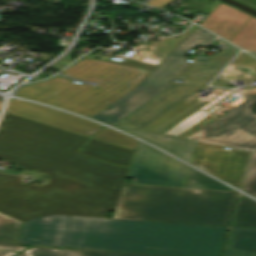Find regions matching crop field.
<instances>
[{
  "label": "crop field",
  "mask_w": 256,
  "mask_h": 256,
  "mask_svg": "<svg viewBox=\"0 0 256 256\" xmlns=\"http://www.w3.org/2000/svg\"><path fill=\"white\" fill-rule=\"evenodd\" d=\"M6 113L92 138L102 126L41 106L9 100Z\"/></svg>",
  "instance_id": "11"
},
{
  "label": "crop field",
  "mask_w": 256,
  "mask_h": 256,
  "mask_svg": "<svg viewBox=\"0 0 256 256\" xmlns=\"http://www.w3.org/2000/svg\"><path fill=\"white\" fill-rule=\"evenodd\" d=\"M253 16L249 15L239 26L238 28L226 39L230 41L245 25L246 23L252 18Z\"/></svg>",
  "instance_id": "24"
},
{
  "label": "crop field",
  "mask_w": 256,
  "mask_h": 256,
  "mask_svg": "<svg viewBox=\"0 0 256 256\" xmlns=\"http://www.w3.org/2000/svg\"><path fill=\"white\" fill-rule=\"evenodd\" d=\"M93 139H97L100 141H104L107 143H111L114 145H118L121 147H125L128 149L136 150L137 141L132 140L118 132L111 131L105 127H103L94 137Z\"/></svg>",
  "instance_id": "20"
},
{
  "label": "crop field",
  "mask_w": 256,
  "mask_h": 256,
  "mask_svg": "<svg viewBox=\"0 0 256 256\" xmlns=\"http://www.w3.org/2000/svg\"><path fill=\"white\" fill-rule=\"evenodd\" d=\"M0 108H1V105H0Z\"/></svg>",
  "instance_id": "29"
},
{
  "label": "crop field",
  "mask_w": 256,
  "mask_h": 256,
  "mask_svg": "<svg viewBox=\"0 0 256 256\" xmlns=\"http://www.w3.org/2000/svg\"><path fill=\"white\" fill-rule=\"evenodd\" d=\"M238 51L228 45L206 64L195 62L179 78L184 81L183 83L170 85L113 126L132 133L190 163L197 141L175 136L172 139H164L165 135L144 131L141 128L206 85Z\"/></svg>",
  "instance_id": "6"
},
{
  "label": "crop field",
  "mask_w": 256,
  "mask_h": 256,
  "mask_svg": "<svg viewBox=\"0 0 256 256\" xmlns=\"http://www.w3.org/2000/svg\"><path fill=\"white\" fill-rule=\"evenodd\" d=\"M247 16L248 14L222 3L200 25L226 39Z\"/></svg>",
  "instance_id": "12"
},
{
  "label": "crop field",
  "mask_w": 256,
  "mask_h": 256,
  "mask_svg": "<svg viewBox=\"0 0 256 256\" xmlns=\"http://www.w3.org/2000/svg\"><path fill=\"white\" fill-rule=\"evenodd\" d=\"M24 253L27 256H107L108 255V253H104V252L56 250V249H50V248H33Z\"/></svg>",
  "instance_id": "19"
},
{
  "label": "crop field",
  "mask_w": 256,
  "mask_h": 256,
  "mask_svg": "<svg viewBox=\"0 0 256 256\" xmlns=\"http://www.w3.org/2000/svg\"><path fill=\"white\" fill-rule=\"evenodd\" d=\"M104 76L105 75L87 70L84 73H82L80 76H78L77 79H81V80H85V81H91V82H97L101 78H103Z\"/></svg>",
  "instance_id": "22"
},
{
  "label": "crop field",
  "mask_w": 256,
  "mask_h": 256,
  "mask_svg": "<svg viewBox=\"0 0 256 256\" xmlns=\"http://www.w3.org/2000/svg\"><path fill=\"white\" fill-rule=\"evenodd\" d=\"M12 176H15L12 178ZM0 173V212L23 221L21 244L104 250L118 196L50 175L41 187Z\"/></svg>",
  "instance_id": "1"
},
{
  "label": "crop field",
  "mask_w": 256,
  "mask_h": 256,
  "mask_svg": "<svg viewBox=\"0 0 256 256\" xmlns=\"http://www.w3.org/2000/svg\"><path fill=\"white\" fill-rule=\"evenodd\" d=\"M189 166L142 143L132 161L128 177L133 184L183 187Z\"/></svg>",
  "instance_id": "9"
},
{
  "label": "crop field",
  "mask_w": 256,
  "mask_h": 256,
  "mask_svg": "<svg viewBox=\"0 0 256 256\" xmlns=\"http://www.w3.org/2000/svg\"><path fill=\"white\" fill-rule=\"evenodd\" d=\"M239 1H242V2H244L246 4H248V5L256 8V0H239Z\"/></svg>",
  "instance_id": "26"
},
{
  "label": "crop field",
  "mask_w": 256,
  "mask_h": 256,
  "mask_svg": "<svg viewBox=\"0 0 256 256\" xmlns=\"http://www.w3.org/2000/svg\"><path fill=\"white\" fill-rule=\"evenodd\" d=\"M154 67L129 59L118 63L84 58L62 74L75 78L89 69L107 75L97 86L70 83L71 79L56 75L47 82L23 86L17 95L91 118L135 88Z\"/></svg>",
  "instance_id": "4"
},
{
  "label": "crop field",
  "mask_w": 256,
  "mask_h": 256,
  "mask_svg": "<svg viewBox=\"0 0 256 256\" xmlns=\"http://www.w3.org/2000/svg\"><path fill=\"white\" fill-rule=\"evenodd\" d=\"M216 36L196 28L168 56H166L139 84L92 119L114 124L166 88L191 62L183 57L198 45L207 47ZM169 87V86H168ZM162 92V91H161ZM159 94V93H158Z\"/></svg>",
  "instance_id": "7"
},
{
  "label": "crop field",
  "mask_w": 256,
  "mask_h": 256,
  "mask_svg": "<svg viewBox=\"0 0 256 256\" xmlns=\"http://www.w3.org/2000/svg\"><path fill=\"white\" fill-rule=\"evenodd\" d=\"M212 56L202 57L199 61L206 63Z\"/></svg>",
  "instance_id": "28"
},
{
  "label": "crop field",
  "mask_w": 256,
  "mask_h": 256,
  "mask_svg": "<svg viewBox=\"0 0 256 256\" xmlns=\"http://www.w3.org/2000/svg\"><path fill=\"white\" fill-rule=\"evenodd\" d=\"M21 221L0 213V249L20 252L26 247L15 245Z\"/></svg>",
  "instance_id": "15"
},
{
  "label": "crop field",
  "mask_w": 256,
  "mask_h": 256,
  "mask_svg": "<svg viewBox=\"0 0 256 256\" xmlns=\"http://www.w3.org/2000/svg\"><path fill=\"white\" fill-rule=\"evenodd\" d=\"M227 228L113 219L105 250L219 256Z\"/></svg>",
  "instance_id": "5"
},
{
  "label": "crop field",
  "mask_w": 256,
  "mask_h": 256,
  "mask_svg": "<svg viewBox=\"0 0 256 256\" xmlns=\"http://www.w3.org/2000/svg\"><path fill=\"white\" fill-rule=\"evenodd\" d=\"M237 194L125 184L113 218L228 226Z\"/></svg>",
  "instance_id": "3"
},
{
  "label": "crop field",
  "mask_w": 256,
  "mask_h": 256,
  "mask_svg": "<svg viewBox=\"0 0 256 256\" xmlns=\"http://www.w3.org/2000/svg\"><path fill=\"white\" fill-rule=\"evenodd\" d=\"M78 153L129 168L135 152L91 139Z\"/></svg>",
  "instance_id": "13"
},
{
  "label": "crop field",
  "mask_w": 256,
  "mask_h": 256,
  "mask_svg": "<svg viewBox=\"0 0 256 256\" xmlns=\"http://www.w3.org/2000/svg\"><path fill=\"white\" fill-rule=\"evenodd\" d=\"M108 256H154V255H135V254H118V253H109Z\"/></svg>",
  "instance_id": "25"
},
{
  "label": "crop field",
  "mask_w": 256,
  "mask_h": 256,
  "mask_svg": "<svg viewBox=\"0 0 256 256\" xmlns=\"http://www.w3.org/2000/svg\"><path fill=\"white\" fill-rule=\"evenodd\" d=\"M89 140L5 113L0 159L119 196L129 169L76 153Z\"/></svg>",
  "instance_id": "2"
},
{
  "label": "crop field",
  "mask_w": 256,
  "mask_h": 256,
  "mask_svg": "<svg viewBox=\"0 0 256 256\" xmlns=\"http://www.w3.org/2000/svg\"><path fill=\"white\" fill-rule=\"evenodd\" d=\"M198 141L191 164L241 188L250 153Z\"/></svg>",
  "instance_id": "10"
},
{
  "label": "crop field",
  "mask_w": 256,
  "mask_h": 256,
  "mask_svg": "<svg viewBox=\"0 0 256 256\" xmlns=\"http://www.w3.org/2000/svg\"><path fill=\"white\" fill-rule=\"evenodd\" d=\"M172 1L174 0H152L151 2L148 3V5L153 6V7H162L165 8L167 5H169Z\"/></svg>",
  "instance_id": "23"
},
{
  "label": "crop field",
  "mask_w": 256,
  "mask_h": 256,
  "mask_svg": "<svg viewBox=\"0 0 256 256\" xmlns=\"http://www.w3.org/2000/svg\"><path fill=\"white\" fill-rule=\"evenodd\" d=\"M184 187L234 191L191 168H189Z\"/></svg>",
  "instance_id": "18"
},
{
  "label": "crop field",
  "mask_w": 256,
  "mask_h": 256,
  "mask_svg": "<svg viewBox=\"0 0 256 256\" xmlns=\"http://www.w3.org/2000/svg\"><path fill=\"white\" fill-rule=\"evenodd\" d=\"M224 256H256V230L233 227Z\"/></svg>",
  "instance_id": "14"
},
{
  "label": "crop field",
  "mask_w": 256,
  "mask_h": 256,
  "mask_svg": "<svg viewBox=\"0 0 256 256\" xmlns=\"http://www.w3.org/2000/svg\"><path fill=\"white\" fill-rule=\"evenodd\" d=\"M13 254H15V252H8V251H1L0 250V256H12Z\"/></svg>",
  "instance_id": "27"
},
{
  "label": "crop field",
  "mask_w": 256,
  "mask_h": 256,
  "mask_svg": "<svg viewBox=\"0 0 256 256\" xmlns=\"http://www.w3.org/2000/svg\"><path fill=\"white\" fill-rule=\"evenodd\" d=\"M235 227L256 229V202L242 197L233 225Z\"/></svg>",
  "instance_id": "16"
},
{
  "label": "crop field",
  "mask_w": 256,
  "mask_h": 256,
  "mask_svg": "<svg viewBox=\"0 0 256 256\" xmlns=\"http://www.w3.org/2000/svg\"><path fill=\"white\" fill-rule=\"evenodd\" d=\"M244 192L256 197V153L252 157Z\"/></svg>",
  "instance_id": "21"
},
{
  "label": "crop field",
  "mask_w": 256,
  "mask_h": 256,
  "mask_svg": "<svg viewBox=\"0 0 256 256\" xmlns=\"http://www.w3.org/2000/svg\"><path fill=\"white\" fill-rule=\"evenodd\" d=\"M254 103H256V95L188 138L255 151L256 115L250 111V106Z\"/></svg>",
  "instance_id": "8"
},
{
  "label": "crop field",
  "mask_w": 256,
  "mask_h": 256,
  "mask_svg": "<svg viewBox=\"0 0 256 256\" xmlns=\"http://www.w3.org/2000/svg\"><path fill=\"white\" fill-rule=\"evenodd\" d=\"M230 42L245 50L256 52V18L253 17Z\"/></svg>",
  "instance_id": "17"
}]
</instances>
